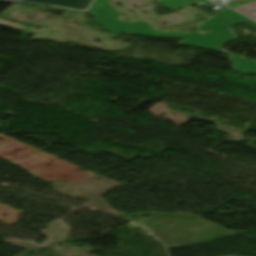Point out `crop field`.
Listing matches in <instances>:
<instances>
[{
	"instance_id": "1",
	"label": "crop field",
	"mask_w": 256,
	"mask_h": 256,
	"mask_svg": "<svg viewBox=\"0 0 256 256\" xmlns=\"http://www.w3.org/2000/svg\"><path fill=\"white\" fill-rule=\"evenodd\" d=\"M229 9L220 12L212 19H208L201 25L199 29L194 31L192 34L155 31L150 28V23L148 22H122L117 18L121 14L105 0H96L88 12L92 14L113 35H119L123 32H128L144 35L180 38L185 39L182 44L222 52L220 48L221 43L236 39V37L229 29L230 26L244 22L256 28L255 22L233 12L234 10L231 11L232 9ZM210 28H212L213 31L206 34L198 33V30L200 29L206 30ZM232 60L235 62L234 70L256 74V62L239 58L234 55H232Z\"/></svg>"
},
{
	"instance_id": "2",
	"label": "crop field",
	"mask_w": 256,
	"mask_h": 256,
	"mask_svg": "<svg viewBox=\"0 0 256 256\" xmlns=\"http://www.w3.org/2000/svg\"><path fill=\"white\" fill-rule=\"evenodd\" d=\"M41 4L57 5L67 8L87 9L92 0H21Z\"/></svg>"
},
{
	"instance_id": "3",
	"label": "crop field",
	"mask_w": 256,
	"mask_h": 256,
	"mask_svg": "<svg viewBox=\"0 0 256 256\" xmlns=\"http://www.w3.org/2000/svg\"><path fill=\"white\" fill-rule=\"evenodd\" d=\"M198 0H161L159 1L165 8L176 10L179 7L186 8Z\"/></svg>"
},
{
	"instance_id": "4",
	"label": "crop field",
	"mask_w": 256,
	"mask_h": 256,
	"mask_svg": "<svg viewBox=\"0 0 256 256\" xmlns=\"http://www.w3.org/2000/svg\"><path fill=\"white\" fill-rule=\"evenodd\" d=\"M234 9L256 19V2L242 5L239 7H235Z\"/></svg>"
},
{
	"instance_id": "5",
	"label": "crop field",
	"mask_w": 256,
	"mask_h": 256,
	"mask_svg": "<svg viewBox=\"0 0 256 256\" xmlns=\"http://www.w3.org/2000/svg\"><path fill=\"white\" fill-rule=\"evenodd\" d=\"M212 1H214V2H216V3H222V2L219 1V0H212Z\"/></svg>"
}]
</instances>
